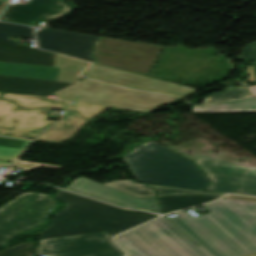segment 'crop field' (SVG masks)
<instances>
[{
    "label": "crop field",
    "mask_w": 256,
    "mask_h": 256,
    "mask_svg": "<svg viewBox=\"0 0 256 256\" xmlns=\"http://www.w3.org/2000/svg\"><path fill=\"white\" fill-rule=\"evenodd\" d=\"M83 74L89 75V78L109 82L131 89L174 94L182 97L196 91L195 89L141 75L122 72L95 64L86 69Z\"/></svg>",
    "instance_id": "11"
},
{
    "label": "crop field",
    "mask_w": 256,
    "mask_h": 256,
    "mask_svg": "<svg viewBox=\"0 0 256 256\" xmlns=\"http://www.w3.org/2000/svg\"><path fill=\"white\" fill-rule=\"evenodd\" d=\"M148 186L154 188L158 192V196L187 195V194H209V195L222 196V194H216V193H210V192L192 191V190L162 187V186H155V185H148Z\"/></svg>",
    "instance_id": "26"
},
{
    "label": "crop field",
    "mask_w": 256,
    "mask_h": 256,
    "mask_svg": "<svg viewBox=\"0 0 256 256\" xmlns=\"http://www.w3.org/2000/svg\"><path fill=\"white\" fill-rule=\"evenodd\" d=\"M162 47L101 38L96 63L148 76Z\"/></svg>",
    "instance_id": "5"
},
{
    "label": "crop field",
    "mask_w": 256,
    "mask_h": 256,
    "mask_svg": "<svg viewBox=\"0 0 256 256\" xmlns=\"http://www.w3.org/2000/svg\"><path fill=\"white\" fill-rule=\"evenodd\" d=\"M125 160L143 183L204 191L211 182L191 161L152 141L135 148Z\"/></svg>",
    "instance_id": "3"
},
{
    "label": "crop field",
    "mask_w": 256,
    "mask_h": 256,
    "mask_svg": "<svg viewBox=\"0 0 256 256\" xmlns=\"http://www.w3.org/2000/svg\"><path fill=\"white\" fill-rule=\"evenodd\" d=\"M58 206L49 196L25 193L0 209V245L28 227L42 224L43 214Z\"/></svg>",
    "instance_id": "6"
},
{
    "label": "crop field",
    "mask_w": 256,
    "mask_h": 256,
    "mask_svg": "<svg viewBox=\"0 0 256 256\" xmlns=\"http://www.w3.org/2000/svg\"><path fill=\"white\" fill-rule=\"evenodd\" d=\"M65 190L86 195L126 208L143 209L146 211L161 214L157 206L155 197L135 198L111 187L86 179L84 177L75 180L72 185Z\"/></svg>",
    "instance_id": "13"
},
{
    "label": "crop field",
    "mask_w": 256,
    "mask_h": 256,
    "mask_svg": "<svg viewBox=\"0 0 256 256\" xmlns=\"http://www.w3.org/2000/svg\"><path fill=\"white\" fill-rule=\"evenodd\" d=\"M29 142L0 138V160L15 162Z\"/></svg>",
    "instance_id": "22"
},
{
    "label": "crop field",
    "mask_w": 256,
    "mask_h": 256,
    "mask_svg": "<svg viewBox=\"0 0 256 256\" xmlns=\"http://www.w3.org/2000/svg\"><path fill=\"white\" fill-rule=\"evenodd\" d=\"M248 89L251 91V93L253 94V96H256V86L248 87Z\"/></svg>",
    "instance_id": "33"
},
{
    "label": "crop field",
    "mask_w": 256,
    "mask_h": 256,
    "mask_svg": "<svg viewBox=\"0 0 256 256\" xmlns=\"http://www.w3.org/2000/svg\"><path fill=\"white\" fill-rule=\"evenodd\" d=\"M210 213L165 217L116 237L130 256H244L256 252V202L223 198L205 205Z\"/></svg>",
    "instance_id": "1"
},
{
    "label": "crop field",
    "mask_w": 256,
    "mask_h": 256,
    "mask_svg": "<svg viewBox=\"0 0 256 256\" xmlns=\"http://www.w3.org/2000/svg\"><path fill=\"white\" fill-rule=\"evenodd\" d=\"M60 68L0 63V75L57 80Z\"/></svg>",
    "instance_id": "17"
},
{
    "label": "crop field",
    "mask_w": 256,
    "mask_h": 256,
    "mask_svg": "<svg viewBox=\"0 0 256 256\" xmlns=\"http://www.w3.org/2000/svg\"><path fill=\"white\" fill-rule=\"evenodd\" d=\"M74 84L62 81L0 76V92L41 97Z\"/></svg>",
    "instance_id": "15"
},
{
    "label": "crop field",
    "mask_w": 256,
    "mask_h": 256,
    "mask_svg": "<svg viewBox=\"0 0 256 256\" xmlns=\"http://www.w3.org/2000/svg\"><path fill=\"white\" fill-rule=\"evenodd\" d=\"M56 197L65 201L66 209L55 213L52 225L39 233L38 239L101 231L114 236L157 217L143 211L120 209L60 190Z\"/></svg>",
    "instance_id": "2"
},
{
    "label": "crop field",
    "mask_w": 256,
    "mask_h": 256,
    "mask_svg": "<svg viewBox=\"0 0 256 256\" xmlns=\"http://www.w3.org/2000/svg\"><path fill=\"white\" fill-rule=\"evenodd\" d=\"M240 57L252 61L253 70L256 78V43L246 45Z\"/></svg>",
    "instance_id": "27"
},
{
    "label": "crop field",
    "mask_w": 256,
    "mask_h": 256,
    "mask_svg": "<svg viewBox=\"0 0 256 256\" xmlns=\"http://www.w3.org/2000/svg\"><path fill=\"white\" fill-rule=\"evenodd\" d=\"M89 64L90 62L57 55L55 57L54 67H61L58 80L75 82L78 73L84 70Z\"/></svg>",
    "instance_id": "21"
},
{
    "label": "crop field",
    "mask_w": 256,
    "mask_h": 256,
    "mask_svg": "<svg viewBox=\"0 0 256 256\" xmlns=\"http://www.w3.org/2000/svg\"><path fill=\"white\" fill-rule=\"evenodd\" d=\"M193 113H207V112H256V97L198 106L192 108Z\"/></svg>",
    "instance_id": "19"
},
{
    "label": "crop field",
    "mask_w": 256,
    "mask_h": 256,
    "mask_svg": "<svg viewBox=\"0 0 256 256\" xmlns=\"http://www.w3.org/2000/svg\"><path fill=\"white\" fill-rule=\"evenodd\" d=\"M13 166H15L19 169H22L24 171H30V170L38 169V167L26 166V165H22V164H18V163H15Z\"/></svg>",
    "instance_id": "28"
},
{
    "label": "crop field",
    "mask_w": 256,
    "mask_h": 256,
    "mask_svg": "<svg viewBox=\"0 0 256 256\" xmlns=\"http://www.w3.org/2000/svg\"><path fill=\"white\" fill-rule=\"evenodd\" d=\"M59 97L107 107L149 112L179 98L128 90L92 80L58 92Z\"/></svg>",
    "instance_id": "4"
},
{
    "label": "crop field",
    "mask_w": 256,
    "mask_h": 256,
    "mask_svg": "<svg viewBox=\"0 0 256 256\" xmlns=\"http://www.w3.org/2000/svg\"><path fill=\"white\" fill-rule=\"evenodd\" d=\"M41 49L94 62L92 56L97 36L42 29L36 33Z\"/></svg>",
    "instance_id": "12"
},
{
    "label": "crop field",
    "mask_w": 256,
    "mask_h": 256,
    "mask_svg": "<svg viewBox=\"0 0 256 256\" xmlns=\"http://www.w3.org/2000/svg\"><path fill=\"white\" fill-rule=\"evenodd\" d=\"M11 164H12L11 162L0 161V166L10 167Z\"/></svg>",
    "instance_id": "32"
},
{
    "label": "crop field",
    "mask_w": 256,
    "mask_h": 256,
    "mask_svg": "<svg viewBox=\"0 0 256 256\" xmlns=\"http://www.w3.org/2000/svg\"><path fill=\"white\" fill-rule=\"evenodd\" d=\"M105 185L111 186L135 197L156 196V192L154 190L132 180L115 181Z\"/></svg>",
    "instance_id": "23"
},
{
    "label": "crop field",
    "mask_w": 256,
    "mask_h": 256,
    "mask_svg": "<svg viewBox=\"0 0 256 256\" xmlns=\"http://www.w3.org/2000/svg\"><path fill=\"white\" fill-rule=\"evenodd\" d=\"M212 181L206 190L256 196V168L200 158L195 161Z\"/></svg>",
    "instance_id": "8"
},
{
    "label": "crop field",
    "mask_w": 256,
    "mask_h": 256,
    "mask_svg": "<svg viewBox=\"0 0 256 256\" xmlns=\"http://www.w3.org/2000/svg\"><path fill=\"white\" fill-rule=\"evenodd\" d=\"M1 98L17 103L22 109L31 108H54L66 109L68 102L49 100L34 96L15 95L2 93Z\"/></svg>",
    "instance_id": "20"
},
{
    "label": "crop field",
    "mask_w": 256,
    "mask_h": 256,
    "mask_svg": "<svg viewBox=\"0 0 256 256\" xmlns=\"http://www.w3.org/2000/svg\"><path fill=\"white\" fill-rule=\"evenodd\" d=\"M227 198H234V199H241V200H249V201H256V198L251 197H243V196H236V195H228Z\"/></svg>",
    "instance_id": "29"
},
{
    "label": "crop field",
    "mask_w": 256,
    "mask_h": 256,
    "mask_svg": "<svg viewBox=\"0 0 256 256\" xmlns=\"http://www.w3.org/2000/svg\"><path fill=\"white\" fill-rule=\"evenodd\" d=\"M38 255L125 256L106 232L40 240Z\"/></svg>",
    "instance_id": "7"
},
{
    "label": "crop field",
    "mask_w": 256,
    "mask_h": 256,
    "mask_svg": "<svg viewBox=\"0 0 256 256\" xmlns=\"http://www.w3.org/2000/svg\"><path fill=\"white\" fill-rule=\"evenodd\" d=\"M17 162L31 164V165H37V166H43V167H49V168H60V167H54V166H48V165H42V164H36V163H30V162H24V161H17Z\"/></svg>",
    "instance_id": "30"
},
{
    "label": "crop field",
    "mask_w": 256,
    "mask_h": 256,
    "mask_svg": "<svg viewBox=\"0 0 256 256\" xmlns=\"http://www.w3.org/2000/svg\"><path fill=\"white\" fill-rule=\"evenodd\" d=\"M50 110H21L0 100V135L33 139L56 121L46 120Z\"/></svg>",
    "instance_id": "10"
},
{
    "label": "crop field",
    "mask_w": 256,
    "mask_h": 256,
    "mask_svg": "<svg viewBox=\"0 0 256 256\" xmlns=\"http://www.w3.org/2000/svg\"><path fill=\"white\" fill-rule=\"evenodd\" d=\"M248 256H256V253H255V254L248 255Z\"/></svg>",
    "instance_id": "34"
},
{
    "label": "crop field",
    "mask_w": 256,
    "mask_h": 256,
    "mask_svg": "<svg viewBox=\"0 0 256 256\" xmlns=\"http://www.w3.org/2000/svg\"><path fill=\"white\" fill-rule=\"evenodd\" d=\"M6 3H7V0H0V14L4 10Z\"/></svg>",
    "instance_id": "31"
},
{
    "label": "crop field",
    "mask_w": 256,
    "mask_h": 256,
    "mask_svg": "<svg viewBox=\"0 0 256 256\" xmlns=\"http://www.w3.org/2000/svg\"><path fill=\"white\" fill-rule=\"evenodd\" d=\"M216 198L218 197L209 195L165 196L158 197V203L163 213L166 214L193 205L207 203Z\"/></svg>",
    "instance_id": "18"
},
{
    "label": "crop field",
    "mask_w": 256,
    "mask_h": 256,
    "mask_svg": "<svg viewBox=\"0 0 256 256\" xmlns=\"http://www.w3.org/2000/svg\"><path fill=\"white\" fill-rule=\"evenodd\" d=\"M0 256H35L34 241L24 242L2 250Z\"/></svg>",
    "instance_id": "25"
},
{
    "label": "crop field",
    "mask_w": 256,
    "mask_h": 256,
    "mask_svg": "<svg viewBox=\"0 0 256 256\" xmlns=\"http://www.w3.org/2000/svg\"><path fill=\"white\" fill-rule=\"evenodd\" d=\"M13 36L34 39L29 27L0 23V62L53 67L54 56L57 54L20 45L11 41Z\"/></svg>",
    "instance_id": "9"
},
{
    "label": "crop field",
    "mask_w": 256,
    "mask_h": 256,
    "mask_svg": "<svg viewBox=\"0 0 256 256\" xmlns=\"http://www.w3.org/2000/svg\"><path fill=\"white\" fill-rule=\"evenodd\" d=\"M65 119L58 121L54 126L39 136L36 141L58 144L73 137L89 121L75 112H67Z\"/></svg>",
    "instance_id": "16"
},
{
    "label": "crop field",
    "mask_w": 256,
    "mask_h": 256,
    "mask_svg": "<svg viewBox=\"0 0 256 256\" xmlns=\"http://www.w3.org/2000/svg\"><path fill=\"white\" fill-rule=\"evenodd\" d=\"M70 11L65 0H31L28 4H9L0 21L32 26Z\"/></svg>",
    "instance_id": "14"
},
{
    "label": "crop field",
    "mask_w": 256,
    "mask_h": 256,
    "mask_svg": "<svg viewBox=\"0 0 256 256\" xmlns=\"http://www.w3.org/2000/svg\"><path fill=\"white\" fill-rule=\"evenodd\" d=\"M248 96H250V94L245 87L231 89V90H227V91L212 93L209 96H207L206 98H204V100L201 104L242 98V97H248Z\"/></svg>",
    "instance_id": "24"
}]
</instances>
